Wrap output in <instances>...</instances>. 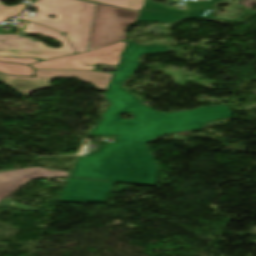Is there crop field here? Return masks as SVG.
<instances>
[{
    "label": "crop field",
    "mask_w": 256,
    "mask_h": 256,
    "mask_svg": "<svg viewBox=\"0 0 256 256\" xmlns=\"http://www.w3.org/2000/svg\"><path fill=\"white\" fill-rule=\"evenodd\" d=\"M25 7V4L8 7L0 3V22L7 19V17H14L15 15L21 14Z\"/></svg>",
    "instance_id": "15"
},
{
    "label": "crop field",
    "mask_w": 256,
    "mask_h": 256,
    "mask_svg": "<svg viewBox=\"0 0 256 256\" xmlns=\"http://www.w3.org/2000/svg\"><path fill=\"white\" fill-rule=\"evenodd\" d=\"M127 106H128V105H127ZM127 106H125L124 108H126ZM124 108H123V109H124ZM123 109H122V110H123ZM122 110H121V111H122ZM121 111H120L119 114L115 117V123L117 122L118 119H120L119 115H120ZM115 129H116V128H115ZM115 139H116V138H115Z\"/></svg>",
    "instance_id": "19"
},
{
    "label": "crop field",
    "mask_w": 256,
    "mask_h": 256,
    "mask_svg": "<svg viewBox=\"0 0 256 256\" xmlns=\"http://www.w3.org/2000/svg\"><path fill=\"white\" fill-rule=\"evenodd\" d=\"M216 0L209 1H195L193 3L186 4L189 18L200 17L205 14L208 9H212Z\"/></svg>",
    "instance_id": "12"
},
{
    "label": "crop field",
    "mask_w": 256,
    "mask_h": 256,
    "mask_svg": "<svg viewBox=\"0 0 256 256\" xmlns=\"http://www.w3.org/2000/svg\"><path fill=\"white\" fill-rule=\"evenodd\" d=\"M96 152V151H95ZM95 152H93L92 154H95Z\"/></svg>",
    "instance_id": "22"
},
{
    "label": "crop field",
    "mask_w": 256,
    "mask_h": 256,
    "mask_svg": "<svg viewBox=\"0 0 256 256\" xmlns=\"http://www.w3.org/2000/svg\"><path fill=\"white\" fill-rule=\"evenodd\" d=\"M111 76L91 71H36V78L0 73V81L26 98L35 89L51 87L49 81L55 77H77L79 80L91 83L95 88L105 91Z\"/></svg>",
    "instance_id": "6"
},
{
    "label": "crop field",
    "mask_w": 256,
    "mask_h": 256,
    "mask_svg": "<svg viewBox=\"0 0 256 256\" xmlns=\"http://www.w3.org/2000/svg\"><path fill=\"white\" fill-rule=\"evenodd\" d=\"M146 144L114 141L78 157L59 201L106 203L114 181L155 186L159 168Z\"/></svg>",
    "instance_id": "1"
},
{
    "label": "crop field",
    "mask_w": 256,
    "mask_h": 256,
    "mask_svg": "<svg viewBox=\"0 0 256 256\" xmlns=\"http://www.w3.org/2000/svg\"><path fill=\"white\" fill-rule=\"evenodd\" d=\"M0 72L12 75L33 76L34 69L30 66L0 62Z\"/></svg>",
    "instance_id": "13"
},
{
    "label": "crop field",
    "mask_w": 256,
    "mask_h": 256,
    "mask_svg": "<svg viewBox=\"0 0 256 256\" xmlns=\"http://www.w3.org/2000/svg\"><path fill=\"white\" fill-rule=\"evenodd\" d=\"M38 11L25 20L50 26L64 32L76 52L86 51L95 16V3L81 0H39L33 5ZM47 15L56 16L55 19Z\"/></svg>",
    "instance_id": "3"
},
{
    "label": "crop field",
    "mask_w": 256,
    "mask_h": 256,
    "mask_svg": "<svg viewBox=\"0 0 256 256\" xmlns=\"http://www.w3.org/2000/svg\"><path fill=\"white\" fill-rule=\"evenodd\" d=\"M144 8L185 15L184 10L170 9V8L164 7L162 4L154 3L151 0L146 1Z\"/></svg>",
    "instance_id": "16"
},
{
    "label": "crop field",
    "mask_w": 256,
    "mask_h": 256,
    "mask_svg": "<svg viewBox=\"0 0 256 256\" xmlns=\"http://www.w3.org/2000/svg\"><path fill=\"white\" fill-rule=\"evenodd\" d=\"M133 113L134 119L117 123V139L148 142L162 134L201 129L198 121H212L233 115L227 105L198 108L194 111L165 114L143 104H135L122 111Z\"/></svg>",
    "instance_id": "2"
},
{
    "label": "crop field",
    "mask_w": 256,
    "mask_h": 256,
    "mask_svg": "<svg viewBox=\"0 0 256 256\" xmlns=\"http://www.w3.org/2000/svg\"><path fill=\"white\" fill-rule=\"evenodd\" d=\"M26 33L42 34L54 38L63 43L60 49L49 48L40 42H30V38H19V35H0V48L60 52V53H75L63 34H60L48 27L35 25L30 22L26 25Z\"/></svg>",
    "instance_id": "8"
},
{
    "label": "crop field",
    "mask_w": 256,
    "mask_h": 256,
    "mask_svg": "<svg viewBox=\"0 0 256 256\" xmlns=\"http://www.w3.org/2000/svg\"><path fill=\"white\" fill-rule=\"evenodd\" d=\"M198 123L201 126V128H203L207 122H198Z\"/></svg>",
    "instance_id": "20"
},
{
    "label": "crop field",
    "mask_w": 256,
    "mask_h": 256,
    "mask_svg": "<svg viewBox=\"0 0 256 256\" xmlns=\"http://www.w3.org/2000/svg\"><path fill=\"white\" fill-rule=\"evenodd\" d=\"M252 234H256V227H253ZM254 243H256V241Z\"/></svg>",
    "instance_id": "21"
},
{
    "label": "crop field",
    "mask_w": 256,
    "mask_h": 256,
    "mask_svg": "<svg viewBox=\"0 0 256 256\" xmlns=\"http://www.w3.org/2000/svg\"><path fill=\"white\" fill-rule=\"evenodd\" d=\"M184 17L185 16H182V15L142 9L137 22L155 21V22L170 24Z\"/></svg>",
    "instance_id": "11"
},
{
    "label": "crop field",
    "mask_w": 256,
    "mask_h": 256,
    "mask_svg": "<svg viewBox=\"0 0 256 256\" xmlns=\"http://www.w3.org/2000/svg\"><path fill=\"white\" fill-rule=\"evenodd\" d=\"M139 13L98 3L89 48L127 39L126 26L135 24Z\"/></svg>",
    "instance_id": "5"
},
{
    "label": "crop field",
    "mask_w": 256,
    "mask_h": 256,
    "mask_svg": "<svg viewBox=\"0 0 256 256\" xmlns=\"http://www.w3.org/2000/svg\"><path fill=\"white\" fill-rule=\"evenodd\" d=\"M165 45H148L140 46L129 41L111 81V84L105 94V98L111 102L109 108L103 114V118L94 128L90 135H115L114 117L126 104L140 103L138 98L129 94L126 90L121 88L123 81L127 80L138 65V57L141 54L151 52H163L167 50Z\"/></svg>",
    "instance_id": "4"
},
{
    "label": "crop field",
    "mask_w": 256,
    "mask_h": 256,
    "mask_svg": "<svg viewBox=\"0 0 256 256\" xmlns=\"http://www.w3.org/2000/svg\"><path fill=\"white\" fill-rule=\"evenodd\" d=\"M68 175L69 172L53 171L42 167H33L0 173V200L33 178L60 177Z\"/></svg>",
    "instance_id": "9"
},
{
    "label": "crop field",
    "mask_w": 256,
    "mask_h": 256,
    "mask_svg": "<svg viewBox=\"0 0 256 256\" xmlns=\"http://www.w3.org/2000/svg\"><path fill=\"white\" fill-rule=\"evenodd\" d=\"M248 14H254L251 13L249 11L243 10V14L241 16H239L238 18L234 19V20H228V19H220L222 21H227V22H233V23H239V22H243L245 20L241 19L243 16L248 15ZM201 18H212V19H218V18H214V14L213 13H208L205 17H201Z\"/></svg>",
    "instance_id": "18"
},
{
    "label": "crop field",
    "mask_w": 256,
    "mask_h": 256,
    "mask_svg": "<svg viewBox=\"0 0 256 256\" xmlns=\"http://www.w3.org/2000/svg\"><path fill=\"white\" fill-rule=\"evenodd\" d=\"M64 55L69 54L0 49V61H11L25 64L38 62L36 58L46 60Z\"/></svg>",
    "instance_id": "10"
},
{
    "label": "crop field",
    "mask_w": 256,
    "mask_h": 256,
    "mask_svg": "<svg viewBox=\"0 0 256 256\" xmlns=\"http://www.w3.org/2000/svg\"><path fill=\"white\" fill-rule=\"evenodd\" d=\"M127 41L98 48L91 52L80 53L61 59L51 60L33 66L35 69H67V70H93L95 67L90 65L93 63H105L118 65L120 61V53L123 51ZM89 64V66H84Z\"/></svg>",
    "instance_id": "7"
},
{
    "label": "crop field",
    "mask_w": 256,
    "mask_h": 256,
    "mask_svg": "<svg viewBox=\"0 0 256 256\" xmlns=\"http://www.w3.org/2000/svg\"><path fill=\"white\" fill-rule=\"evenodd\" d=\"M104 4L140 11L144 0H91Z\"/></svg>",
    "instance_id": "14"
},
{
    "label": "crop field",
    "mask_w": 256,
    "mask_h": 256,
    "mask_svg": "<svg viewBox=\"0 0 256 256\" xmlns=\"http://www.w3.org/2000/svg\"><path fill=\"white\" fill-rule=\"evenodd\" d=\"M0 206H11V207H14V208H17V209H20V210H40V208H31V207L22 205L18 202H15V201H12V200H7V199L3 200L0 203Z\"/></svg>",
    "instance_id": "17"
}]
</instances>
